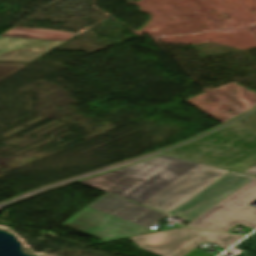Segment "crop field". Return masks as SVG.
<instances>
[{
	"label": "crop field",
	"instance_id": "d8731c3e",
	"mask_svg": "<svg viewBox=\"0 0 256 256\" xmlns=\"http://www.w3.org/2000/svg\"><path fill=\"white\" fill-rule=\"evenodd\" d=\"M26 65H4L0 64V81L12 75Z\"/></svg>",
	"mask_w": 256,
	"mask_h": 256
},
{
	"label": "crop field",
	"instance_id": "34b2d1b8",
	"mask_svg": "<svg viewBox=\"0 0 256 256\" xmlns=\"http://www.w3.org/2000/svg\"><path fill=\"white\" fill-rule=\"evenodd\" d=\"M241 236L182 228L130 238L140 249L159 256H184L203 242L226 249Z\"/></svg>",
	"mask_w": 256,
	"mask_h": 256
},
{
	"label": "crop field",
	"instance_id": "f4fd0767",
	"mask_svg": "<svg viewBox=\"0 0 256 256\" xmlns=\"http://www.w3.org/2000/svg\"><path fill=\"white\" fill-rule=\"evenodd\" d=\"M74 34L12 28L0 36V62L30 63Z\"/></svg>",
	"mask_w": 256,
	"mask_h": 256
},
{
	"label": "crop field",
	"instance_id": "ac0d7876",
	"mask_svg": "<svg viewBox=\"0 0 256 256\" xmlns=\"http://www.w3.org/2000/svg\"><path fill=\"white\" fill-rule=\"evenodd\" d=\"M164 215L106 194L61 226L107 241L135 235Z\"/></svg>",
	"mask_w": 256,
	"mask_h": 256
},
{
	"label": "crop field",
	"instance_id": "8a807250",
	"mask_svg": "<svg viewBox=\"0 0 256 256\" xmlns=\"http://www.w3.org/2000/svg\"><path fill=\"white\" fill-rule=\"evenodd\" d=\"M227 172L161 156L79 183L168 214Z\"/></svg>",
	"mask_w": 256,
	"mask_h": 256
},
{
	"label": "crop field",
	"instance_id": "dd49c442",
	"mask_svg": "<svg viewBox=\"0 0 256 256\" xmlns=\"http://www.w3.org/2000/svg\"><path fill=\"white\" fill-rule=\"evenodd\" d=\"M253 178L230 171L169 214L184 215L190 222Z\"/></svg>",
	"mask_w": 256,
	"mask_h": 256
},
{
	"label": "crop field",
	"instance_id": "412701ff",
	"mask_svg": "<svg viewBox=\"0 0 256 256\" xmlns=\"http://www.w3.org/2000/svg\"><path fill=\"white\" fill-rule=\"evenodd\" d=\"M256 200V178L239 188L188 226L226 232L236 224L256 228V208L248 206Z\"/></svg>",
	"mask_w": 256,
	"mask_h": 256
},
{
	"label": "crop field",
	"instance_id": "e52e79f7",
	"mask_svg": "<svg viewBox=\"0 0 256 256\" xmlns=\"http://www.w3.org/2000/svg\"><path fill=\"white\" fill-rule=\"evenodd\" d=\"M235 247L241 249V252L235 256H256V233L243 240Z\"/></svg>",
	"mask_w": 256,
	"mask_h": 256
},
{
	"label": "crop field",
	"instance_id": "5a996713",
	"mask_svg": "<svg viewBox=\"0 0 256 256\" xmlns=\"http://www.w3.org/2000/svg\"><path fill=\"white\" fill-rule=\"evenodd\" d=\"M242 173H246V174H250V175H255L256 176V166L242 172Z\"/></svg>",
	"mask_w": 256,
	"mask_h": 256
},
{
	"label": "crop field",
	"instance_id": "3316defc",
	"mask_svg": "<svg viewBox=\"0 0 256 256\" xmlns=\"http://www.w3.org/2000/svg\"><path fill=\"white\" fill-rule=\"evenodd\" d=\"M250 28H251L252 31L256 34V26H251Z\"/></svg>",
	"mask_w": 256,
	"mask_h": 256
}]
</instances>
